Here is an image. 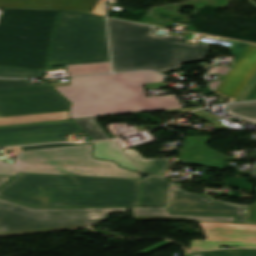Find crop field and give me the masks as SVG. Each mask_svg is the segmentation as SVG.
<instances>
[{"label":"crop field","instance_id":"crop-field-1","mask_svg":"<svg viewBox=\"0 0 256 256\" xmlns=\"http://www.w3.org/2000/svg\"><path fill=\"white\" fill-rule=\"evenodd\" d=\"M141 180L18 173L0 197L33 207L140 206Z\"/></svg>","mask_w":256,"mask_h":256},{"label":"crop field","instance_id":"crop-field-2","mask_svg":"<svg viewBox=\"0 0 256 256\" xmlns=\"http://www.w3.org/2000/svg\"><path fill=\"white\" fill-rule=\"evenodd\" d=\"M160 81L161 75L140 71L74 78L56 89L72 102V119L181 108L175 95L146 98L144 84Z\"/></svg>","mask_w":256,"mask_h":256},{"label":"crop field","instance_id":"crop-field-3","mask_svg":"<svg viewBox=\"0 0 256 256\" xmlns=\"http://www.w3.org/2000/svg\"><path fill=\"white\" fill-rule=\"evenodd\" d=\"M114 72L153 69L162 73L202 60L210 44L180 43L183 36L158 37L155 26L108 19Z\"/></svg>","mask_w":256,"mask_h":256},{"label":"crop field","instance_id":"crop-field-4","mask_svg":"<svg viewBox=\"0 0 256 256\" xmlns=\"http://www.w3.org/2000/svg\"><path fill=\"white\" fill-rule=\"evenodd\" d=\"M58 11L4 9L0 66L43 70Z\"/></svg>","mask_w":256,"mask_h":256},{"label":"crop field","instance_id":"crop-field-5","mask_svg":"<svg viewBox=\"0 0 256 256\" xmlns=\"http://www.w3.org/2000/svg\"><path fill=\"white\" fill-rule=\"evenodd\" d=\"M17 153L16 164L0 161V176L18 172L68 174L86 176L140 178V174L117 167L114 162L95 160L91 145L22 151L20 147L3 149Z\"/></svg>","mask_w":256,"mask_h":256},{"label":"crop field","instance_id":"crop-field-6","mask_svg":"<svg viewBox=\"0 0 256 256\" xmlns=\"http://www.w3.org/2000/svg\"><path fill=\"white\" fill-rule=\"evenodd\" d=\"M109 61L104 17L60 13L47 66Z\"/></svg>","mask_w":256,"mask_h":256},{"label":"crop field","instance_id":"crop-field-7","mask_svg":"<svg viewBox=\"0 0 256 256\" xmlns=\"http://www.w3.org/2000/svg\"><path fill=\"white\" fill-rule=\"evenodd\" d=\"M126 209H34L0 199V235L88 226Z\"/></svg>","mask_w":256,"mask_h":256},{"label":"crop field","instance_id":"crop-field-8","mask_svg":"<svg viewBox=\"0 0 256 256\" xmlns=\"http://www.w3.org/2000/svg\"><path fill=\"white\" fill-rule=\"evenodd\" d=\"M69 102L49 86L0 90V117L68 110Z\"/></svg>","mask_w":256,"mask_h":256},{"label":"crop field","instance_id":"crop-field-9","mask_svg":"<svg viewBox=\"0 0 256 256\" xmlns=\"http://www.w3.org/2000/svg\"><path fill=\"white\" fill-rule=\"evenodd\" d=\"M80 130L70 120L0 127V147L66 141L69 133Z\"/></svg>","mask_w":256,"mask_h":256},{"label":"crop field","instance_id":"crop-field-10","mask_svg":"<svg viewBox=\"0 0 256 256\" xmlns=\"http://www.w3.org/2000/svg\"><path fill=\"white\" fill-rule=\"evenodd\" d=\"M199 223V222H198ZM205 240H192L189 251L223 246L256 247V225L200 222Z\"/></svg>","mask_w":256,"mask_h":256},{"label":"crop field","instance_id":"crop-field-11","mask_svg":"<svg viewBox=\"0 0 256 256\" xmlns=\"http://www.w3.org/2000/svg\"><path fill=\"white\" fill-rule=\"evenodd\" d=\"M181 185L173 184L171 189L170 210L172 213L238 215L237 223H243L246 213L243 207L216 202L210 198L190 194Z\"/></svg>","mask_w":256,"mask_h":256},{"label":"crop field","instance_id":"crop-field-12","mask_svg":"<svg viewBox=\"0 0 256 256\" xmlns=\"http://www.w3.org/2000/svg\"><path fill=\"white\" fill-rule=\"evenodd\" d=\"M255 73L256 45L250 44L215 93L229 99L227 103L235 102Z\"/></svg>","mask_w":256,"mask_h":256},{"label":"crop field","instance_id":"crop-field-13","mask_svg":"<svg viewBox=\"0 0 256 256\" xmlns=\"http://www.w3.org/2000/svg\"><path fill=\"white\" fill-rule=\"evenodd\" d=\"M0 8L73 10L104 16L101 0H0Z\"/></svg>","mask_w":256,"mask_h":256},{"label":"crop field","instance_id":"crop-field-14","mask_svg":"<svg viewBox=\"0 0 256 256\" xmlns=\"http://www.w3.org/2000/svg\"><path fill=\"white\" fill-rule=\"evenodd\" d=\"M208 137H186L178 159L223 170L228 157L205 147Z\"/></svg>","mask_w":256,"mask_h":256},{"label":"crop field","instance_id":"crop-field-15","mask_svg":"<svg viewBox=\"0 0 256 256\" xmlns=\"http://www.w3.org/2000/svg\"><path fill=\"white\" fill-rule=\"evenodd\" d=\"M142 207H166L170 182L165 177H149L143 180Z\"/></svg>","mask_w":256,"mask_h":256},{"label":"crop field","instance_id":"crop-field-16","mask_svg":"<svg viewBox=\"0 0 256 256\" xmlns=\"http://www.w3.org/2000/svg\"><path fill=\"white\" fill-rule=\"evenodd\" d=\"M135 219L233 222L235 217L170 215L163 209H132Z\"/></svg>","mask_w":256,"mask_h":256},{"label":"crop field","instance_id":"crop-field-17","mask_svg":"<svg viewBox=\"0 0 256 256\" xmlns=\"http://www.w3.org/2000/svg\"><path fill=\"white\" fill-rule=\"evenodd\" d=\"M124 152L146 175H163L172 160L171 158L144 159L134 149H125Z\"/></svg>","mask_w":256,"mask_h":256},{"label":"crop field","instance_id":"crop-field-18","mask_svg":"<svg viewBox=\"0 0 256 256\" xmlns=\"http://www.w3.org/2000/svg\"><path fill=\"white\" fill-rule=\"evenodd\" d=\"M94 155L97 159L116 161L119 162V165L122 167L137 170L117 148L113 141L95 143Z\"/></svg>","mask_w":256,"mask_h":256},{"label":"crop field","instance_id":"crop-field-19","mask_svg":"<svg viewBox=\"0 0 256 256\" xmlns=\"http://www.w3.org/2000/svg\"><path fill=\"white\" fill-rule=\"evenodd\" d=\"M64 119H68V111L4 117V118H0V126L11 125V124H21V123H31V122H41V121L64 120Z\"/></svg>","mask_w":256,"mask_h":256},{"label":"crop field","instance_id":"crop-field-20","mask_svg":"<svg viewBox=\"0 0 256 256\" xmlns=\"http://www.w3.org/2000/svg\"><path fill=\"white\" fill-rule=\"evenodd\" d=\"M73 121L92 139V141L110 139L108 135L96 124L95 118L75 119Z\"/></svg>","mask_w":256,"mask_h":256},{"label":"crop field","instance_id":"crop-field-21","mask_svg":"<svg viewBox=\"0 0 256 256\" xmlns=\"http://www.w3.org/2000/svg\"><path fill=\"white\" fill-rule=\"evenodd\" d=\"M226 113L256 124V103L227 105Z\"/></svg>","mask_w":256,"mask_h":256},{"label":"crop field","instance_id":"crop-field-22","mask_svg":"<svg viewBox=\"0 0 256 256\" xmlns=\"http://www.w3.org/2000/svg\"><path fill=\"white\" fill-rule=\"evenodd\" d=\"M191 256H256V249H225L191 252Z\"/></svg>","mask_w":256,"mask_h":256},{"label":"crop field","instance_id":"crop-field-23","mask_svg":"<svg viewBox=\"0 0 256 256\" xmlns=\"http://www.w3.org/2000/svg\"><path fill=\"white\" fill-rule=\"evenodd\" d=\"M69 76L111 72L109 63L67 67Z\"/></svg>","mask_w":256,"mask_h":256},{"label":"crop field","instance_id":"crop-field-24","mask_svg":"<svg viewBox=\"0 0 256 256\" xmlns=\"http://www.w3.org/2000/svg\"><path fill=\"white\" fill-rule=\"evenodd\" d=\"M43 71L0 67V77H39Z\"/></svg>","mask_w":256,"mask_h":256},{"label":"crop field","instance_id":"crop-field-25","mask_svg":"<svg viewBox=\"0 0 256 256\" xmlns=\"http://www.w3.org/2000/svg\"><path fill=\"white\" fill-rule=\"evenodd\" d=\"M46 84L30 85L28 80H0V89L43 86Z\"/></svg>","mask_w":256,"mask_h":256},{"label":"crop field","instance_id":"crop-field-26","mask_svg":"<svg viewBox=\"0 0 256 256\" xmlns=\"http://www.w3.org/2000/svg\"><path fill=\"white\" fill-rule=\"evenodd\" d=\"M191 114L196 115V116L201 117V118H205L208 122H210L212 125H214L218 129L229 130L227 127H225L221 123V117H215L213 115L202 114L198 111H196L194 113H191Z\"/></svg>","mask_w":256,"mask_h":256},{"label":"crop field","instance_id":"crop-field-27","mask_svg":"<svg viewBox=\"0 0 256 256\" xmlns=\"http://www.w3.org/2000/svg\"><path fill=\"white\" fill-rule=\"evenodd\" d=\"M248 46V43L235 41L234 45L229 50L232 51L236 59H239Z\"/></svg>","mask_w":256,"mask_h":256},{"label":"crop field","instance_id":"crop-field-28","mask_svg":"<svg viewBox=\"0 0 256 256\" xmlns=\"http://www.w3.org/2000/svg\"><path fill=\"white\" fill-rule=\"evenodd\" d=\"M71 145H81V144L57 143V144H48V145L26 146V147H22V149H23V150H27V149H37V148H47V147H59V146H71Z\"/></svg>","mask_w":256,"mask_h":256},{"label":"crop field","instance_id":"crop-field-29","mask_svg":"<svg viewBox=\"0 0 256 256\" xmlns=\"http://www.w3.org/2000/svg\"><path fill=\"white\" fill-rule=\"evenodd\" d=\"M248 212L247 222H256V203L249 206Z\"/></svg>","mask_w":256,"mask_h":256},{"label":"crop field","instance_id":"crop-field-30","mask_svg":"<svg viewBox=\"0 0 256 256\" xmlns=\"http://www.w3.org/2000/svg\"><path fill=\"white\" fill-rule=\"evenodd\" d=\"M170 243H172V242L164 241V242H162V243H160V244H158V245H155V246H153V247H151V248H148V249H146V250H144V251H142V252H139V253H137V254H135V255L148 254V253H150V252H152V251H154V250H157V249H159V248H161V247H163V246H166V245H168V244H170Z\"/></svg>","mask_w":256,"mask_h":256},{"label":"crop field","instance_id":"crop-field-31","mask_svg":"<svg viewBox=\"0 0 256 256\" xmlns=\"http://www.w3.org/2000/svg\"><path fill=\"white\" fill-rule=\"evenodd\" d=\"M199 108H202V107H198V108H188V109H178V110H170L168 112H177V111H181L183 113H186V112H189V111H192V110H196V109H199Z\"/></svg>","mask_w":256,"mask_h":256},{"label":"crop field","instance_id":"crop-field-32","mask_svg":"<svg viewBox=\"0 0 256 256\" xmlns=\"http://www.w3.org/2000/svg\"><path fill=\"white\" fill-rule=\"evenodd\" d=\"M9 179H11V177H0V186L5 183L6 181H8Z\"/></svg>","mask_w":256,"mask_h":256}]
</instances>
